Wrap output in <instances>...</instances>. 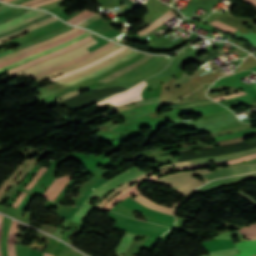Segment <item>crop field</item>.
<instances>
[{"instance_id": "crop-field-1", "label": "crop field", "mask_w": 256, "mask_h": 256, "mask_svg": "<svg viewBox=\"0 0 256 256\" xmlns=\"http://www.w3.org/2000/svg\"><path fill=\"white\" fill-rule=\"evenodd\" d=\"M254 171H256V164L242 165L231 168H216L212 172H208L205 169H201L167 175L158 180H155L154 182L173 186L175 188V190L173 191L186 197L197 187L212 179L249 173ZM195 174H197L200 177H203L204 181L200 182L193 178L192 175Z\"/></svg>"}, {"instance_id": "crop-field-2", "label": "crop field", "mask_w": 256, "mask_h": 256, "mask_svg": "<svg viewBox=\"0 0 256 256\" xmlns=\"http://www.w3.org/2000/svg\"><path fill=\"white\" fill-rule=\"evenodd\" d=\"M254 158H256V153L253 154V155L247 156V157H243V158L235 159V160H231V161L208 162V163L194 165V166L177 167V168H170V169L163 170L157 176L152 175V176L136 183L135 185L127 188L126 190L120 192L115 198H113L110 202H108L102 210H110L116 203L124 200L126 197H128V196L131 197L133 194L135 196L140 194L139 191L136 189V187L138 185H140L145 180L151 182V181H153L154 179H156L160 176L168 174L169 173L168 171H183V170L196 169V168L213 167L212 165H210L211 163H216V165H214V166L229 165V164H233V163H237V162H241V161H246V160H250V159H254Z\"/></svg>"}, {"instance_id": "crop-field-3", "label": "crop field", "mask_w": 256, "mask_h": 256, "mask_svg": "<svg viewBox=\"0 0 256 256\" xmlns=\"http://www.w3.org/2000/svg\"><path fill=\"white\" fill-rule=\"evenodd\" d=\"M96 43H98V42L93 40V41H91V42H89V43H87V44H85V45H83L81 47H78V48L72 50L69 53L60 55L58 57L52 58V59L47 60V61H44L42 63H39V64H37V65H35L33 67H30V68L24 70L22 72L10 75L8 77L13 78V77H15V76H17L19 74L25 73L30 78L33 75H35V74H37V73H39L41 71H44L46 69H49L51 67H54V66L59 65V64H62L64 62H67L69 60H72L74 58H77V57H79L81 55H84V54L88 53L87 48L92 46V45H94V44H96Z\"/></svg>"}, {"instance_id": "crop-field-4", "label": "crop field", "mask_w": 256, "mask_h": 256, "mask_svg": "<svg viewBox=\"0 0 256 256\" xmlns=\"http://www.w3.org/2000/svg\"><path fill=\"white\" fill-rule=\"evenodd\" d=\"M144 172L140 171L139 169H137L136 167L124 172L116 177H114L113 179L107 181L106 183H104L102 186H100L99 188H97L95 191H93L88 198L86 199L85 203L83 204V206H89V207H93L95 208V206L97 205H89V200L93 197H98L99 199H101L102 196H104L105 194L109 193L110 191H112L113 189L117 188L118 186H120L121 184L139 176L140 174H142ZM99 202V201H98Z\"/></svg>"}, {"instance_id": "crop-field-5", "label": "crop field", "mask_w": 256, "mask_h": 256, "mask_svg": "<svg viewBox=\"0 0 256 256\" xmlns=\"http://www.w3.org/2000/svg\"><path fill=\"white\" fill-rule=\"evenodd\" d=\"M145 83H147V82L144 80V81L138 83L137 85H135L134 87H132V88H130V89H128V90H126V91L120 93V94L114 95V96H112V97H110V98H108V99H106V100H104V101H102V102H99V103L94 104L93 107L96 108V107L102 105L103 103H105V102H107V101H109V100H112V99H115V98H117V97H119V96H122V95H124V94H127V93H129V92H131V91L137 89L138 87H140L141 85H143V84H145ZM147 85H149V84H147ZM147 85H145V86H147ZM145 86H143V87L137 89L135 92H132V93H130V94L124 96V97L117 98V99H115V100H113V101H110V102H108V103L113 104V105H115V106H119V105H124V104L131 103V102H133V101L141 100V99H142V98H141V92H142V90H143V88H144Z\"/></svg>"}, {"instance_id": "crop-field-6", "label": "crop field", "mask_w": 256, "mask_h": 256, "mask_svg": "<svg viewBox=\"0 0 256 256\" xmlns=\"http://www.w3.org/2000/svg\"><path fill=\"white\" fill-rule=\"evenodd\" d=\"M187 165H194V164L189 163V162L175 163V164H169V165L161 166V167H159L157 169H153V170H159L160 171V170H163V169H166V168H169V167L187 166ZM153 170H151V171H149V172H147V173H145V174H143V175H141V176H139V177L123 184V185H121L119 188L112 191L106 199H103L102 202L99 203V205L96 208L101 210L103 208V206L109 201V199L111 197L115 196L118 192H120L121 190H123V189H125V188H127L131 185H133L134 183L152 175Z\"/></svg>"}, {"instance_id": "crop-field-7", "label": "crop field", "mask_w": 256, "mask_h": 256, "mask_svg": "<svg viewBox=\"0 0 256 256\" xmlns=\"http://www.w3.org/2000/svg\"><path fill=\"white\" fill-rule=\"evenodd\" d=\"M84 31H85V30H82V29H81V30H79V31H77V32H75V33H73V34H71V35H69V36H67V37H65V38H63V39H60V40H58V41H55V42H53V43H51V44H49V45L36 48V49H34V50H31V51H29V52H26V53H24V54H21V55H19V56H16V57H14V58H12V59L6 61V62L0 63V68L3 67V66H5V65H8V64H10V63H12V62H15V61H17V60H20V59H22V58H24V57H27V56H29V55H31V54H34V53H36V52H39V51H42V50H45V49L54 47V46H56V45L62 44V43H64V42H66V41L72 39L73 37L82 34Z\"/></svg>"}, {"instance_id": "crop-field-8", "label": "crop field", "mask_w": 256, "mask_h": 256, "mask_svg": "<svg viewBox=\"0 0 256 256\" xmlns=\"http://www.w3.org/2000/svg\"><path fill=\"white\" fill-rule=\"evenodd\" d=\"M89 35H90V33L86 32V33L82 34L81 36H79V37H77V38H75V39H73V40H71V41H69V42H67V43H65V44H62V45H60V46H58V47L51 48V49H48V50H45V51L36 53V54H34V55H32V56H29V57H27V58H24V59L18 61V62H16V63L12 64V65H9V66H6V67H4V68H1V69H0V72H3V71L8 70V69H10V68H13V67H16V66H18V65L24 64V63H26V62H28V61L34 59V58H37V57H39V56H41V55H44V54H47V53H50V52H53V51L62 49V48L66 47V46H68V45H70V44H73V43H75V42H77V41H79V40H81V39H83V38H85V37H87V36H89Z\"/></svg>"}, {"instance_id": "crop-field-9", "label": "crop field", "mask_w": 256, "mask_h": 256, "mask_svg": "<svg viewBox=\"0 0 256 256\" xmlns=\"http://www.w3.org/2000/svg\"><path fill=\"white\" fill-rule=\"evenodd\" d=\"M119 47H121V46L115 44L112 47L108 48L107 50H105L104 52H102V53H100V54H98L96 56H93V57H91V58H89V59H87V60H85L83 62H80V63L74 64V65L68 66V67H66L64 69H61V70L57 71V72H54V73L48 74L46 76H43V77L37 79L36 81H37V83H39V82L44 81L46 79H49V78H51V77H53L55 75H58V74L65 73L67 71L76 69V68H78V67H80L82 65H85V64H87V63H89L91 61H94V60H96V59H98V58H100V57H102V56L112 52L113 50H115V49H117Z\"/></svg>"}, {"instance_id": "crop-field-10", "label": "crop field", "mask_w": 256, "mask_h": 256, "mask_svg": "<svg viewBox=\"0 0 256 256\" xmlns=\"http://www.w3.org/2000/svg\"><path fill=\"white\" fill-rule=\"evenodd\" d=\"M137 53H138V52L133 51V52L129 53L128 55L124 56L123 58H121V59H119V60H117V61H115V62H113V63H111V64H109V65H107V66H105V67H103V68H101V69H99V70L96 71V72H93V73H91V74L85 75V76H83V77H80V78H78V79H76V80H73V81L68 82V83H66V84H63V85H70V86H72V85H75V84H77V83H79V82H81V81H84V80L90 79V78H92V77H94V76H97V75H99V74H101V73L107 71L108 69L114 67L115 65H117V64H119V63H121V62H123V61L128 60L129 58L133 57V56H134L135 54H137Z\"/></svg>"}, {"instance_id": "crop-field-11", "label": "crop field", "mask_w": 256, "mask_h": 256, "mask_svg": "<svg viewBox=\"0 0 256 256\" xmlns=\"http://www.w3.org/2000/svg\"><path fill=\"white\" fill-rule=\"evenodd\" d=\"M71 176H63L56 179L50 186V188L44 193L43 197L54 201L59 192L64 188Z\"/></svg>"}, {"instance_id": "crop-field-12", "label": "crop field", "mask_w": 256, "mask_h": 256, "mask_svg": "<svg viewBox=\"0 0 256 256\" xmlns=\"http://www.w3.org/2000/svg\"><path fill=\"white\" fill-rule=\"evenodd\" d=\"M113 44H114V43L109 42V43L103 45L102 47L98 48L97 50H95V51H93V52H90L89 54H86V55H84V56H81V57H79V58H77V59H74V60L69 61V62H67V63H64V64H62V65H59V66H57V67H54V68H51V69L46 70V71H44V72H41V73H39V74L33 76V78L41 77V76H43V75L46 74V73H50V72L56 71V70H58V69H61V68H63V67H66V66H68V65L74 64V63L79 62V61H82V60H84V59H87V58H89V57H91V56H93V55H95V54H97V53H99V52H101V51L107 49L108 47H110V46L113 45Z\"/></svg>"}, {"instance_id": "crop-field-13", "label": "crop field", "mask_w": 256, "mask_h": 256, "mask_svg": "<svg viewBox=\"0 0 256 256\" xmlns=\"http://www.w3.org/2000/svg\"><path fill=\"white\" fill-rule=\"evenodd\" d=\"M125 49H126V48L121 47V48H119V49L113 51L112 53H110V54H108V55H106V56H104V57H102V58H100V59H98V60H96V61H94V62H92V63H90V64H88V65H86V66H84V67H82V68H79V69H76V70H74V71H71V72L62 74V75H60V76L53 77V78H51V79H49V80H50L51 82H53V81H57V80H60V79H63V78L72 76V75H74V74H77V73H79V72H81V71H83V70H85V69H87V68H89V67H92V66H94V65H96V64H98V63H100V62H102V61H104V60H106V59H108V58H111V57L115 56L116 54L120 53L121 51H123V50H125Z\"/></svg>"}, {"instance_id": "crop-field-14", "label": "crop field", "mask_w": 256, "mask_h": 256, "mask_svg": "<svg viewBox=\"0 0 256 256\" xmlns=\"http://www.w3.org/2000/svg\"><path fill=\"white\" fill-rule=\"evenodd\" d=\"M76 30H78V28H73V29H71V30H69V31H67V32H64V33H62V34H60V35H57V36H55V37H53V38H51V39H48V40H46V41H43V42H40V43H37V44H34V45H31V46H29V47H27V48H25V49H22V50H20V51H17V52H15V53H12V54H10V55L4 57V58H1V59H0V62H3V61H5V60H7V59H9V58H11V57H14V56H16V55H19V54H21V53H24V52H26V51H29V50L34 49V48H36V47H39V46H41V45H44V44L50 43V42H52V41H55V40H57V39L63 38V37H65V36H67V35L73 33V32L76 31Z\"/></svg>"}, {"instance_id": "crop-field-15", "label": "crop field", "mask_w": 256, "mask_h": 256, "mask_svg": "<svg viewBox=\"0 0 256 256\" xmlns=\"http://www.w3.org/2000/svg\"><path fill=\"white\" fill-rule=\"evenodd\" d=\"M131 51H132V50L127 49L126 51H124V52H122V53L116 55L115 57H113V58H111V59H108V60H106V61H104V62H102V63H100V64H98V65H96V66H94V67H92V68H89V69H87V70H85V71H83V72H81V73H79V74H77V75L74 74L75 76H72V77L63 79V80L59 81L58 83L63 84V83H66V82H68V81H71V80H73V79H75V78H78V77H80V76H83V75H85V74L91 73V72H93V71H95V70H97V69H99V68H101V67H103V66H105V65H107V64H109V63H111L112 61H114V60H116V59H118V58H120V57L126 55L127 53H129V52H131Z\"/></svg>"}, {"instance_id": "crop-field-16", "label": "crop field", "mask_w": 256, "mask_h": 256, "mask_svg": "<svg viewBox=\"0 0 256 256\" xmlns=\"http://www.w3.org/2000/svg\"><path fill=\"white\" fill-rule=\"evenodd\" d=\"M133 199L136 200L137 202L153 209V210L163 212V213H167V214H170V215H173V216H174L175 207H176L177 204H179V203L175 204L172 208L159 206V205L153 203L152 201L148 200L147 198H145L141 194L138 195L137 197L133 198Z\"/></svg>"}, {"instance_id": "crop-field-17", "label": "crop field", "mask_w": 256, "mask_h": 256, "mask_svg": "<svg viewBox=\"0 0 256 256\" xmlns=\"http://www.w3.org/2000/svg\"><path fill=\"white\" fill-rule=\"evenodd\" d=\"M36 160L37 159H34L32 162H31V160L30 161H28L27 159L26 160H24L23 161V163H24V165L23 166H19L18 167V169L8 178V180H10V181H14V179L17 177V175L23 170V168H24V170L21 172V174L19 175V177L13 182V183H15V184H17L18 182H21L22 181V179L25 177V175L32 169V167L36 164Z\"/></svg>"}, {"instance_id": "crop-field-18", "label": "crop field", "mask_w": 256, "mask_h": 256, "mask_svg": "<svg viewBox=\"0 0 256 256\" xmlns=\"http://www.w3.org/2000/svg\"><path fill=\"white\" fill-rule=\"evenodd\" d=\"M177 16L175 12H173L171 9L168 10L165 14H163L157 21H155L153 24H151L149 27L137 32L139 35L143 36L151 31H153L157 26L167 22L168 20L172 19L173 17Z\"/></svg>"}, {"instance_id": "crop-field-19", "label": "crop field", "mask_w": 256, "mask_h": 256, "mask_svg": "<svg viewBox=\"0 0 256 256\" xmlns=\"http://www.w3.org/2000/svg\"><path fill=\"white\" fill-rule=\"evenodd\" d=\"M208 251L235 247L232 240H212L202 243Z\"/></svg>"}, {"instance_id": "crop-field-20", "label": "crop field", "mask_w": 256, "mask_h": 256, "mask_svg": "<svg viewBox=\"0 0 256 256\" xmlns=\"http://www.w3.org/2000/svg\"><path fill=\"white\" fill-rule=\"evenodd\" d=\"M236 247L240 251L235 256H251L256 255V241H246L243 243L236 244Z\"/></svg>"}, {"instance_id": "crop-field-21", "label": "crop field", "mask_w": 256, "mask_h": 256, "mask_svg": "<svg viewBox=\"0 0 256 256\" xmlns=\"http://www.w3.org/2000/svg\"><path fill=\"white\" fill-rule=\"evenodd\" d=\"M55 20H58V19L55 18V17H52V18L47 19V20H45V21H42V22H40V23H36V24H34V25H32V26H30V27H28V28H26V29H24V30H22V31H19V32L14 33V34H11V35H9V36H7V37L0 38V44L3 43V42H5V41H7V40H9V39H12V38L17 37V36H19V35H22V34L28 32V31H30V30H34V29H37V28H39V27H42V26H44V25H46V24H49V23H51V22H53V21H55Z\"/></svg>"}, {"instance_id": "crop-field-22", "label": "crop field", "mask_w": 256, "mask_h": 256, "mask_svg": "<svg viewBox=\"0 0 256 256\" xmlns=\"http://www.w3.org/2000/svg\"><path fill=\"white\" fill-rule=\"evenodd\" d=\"M42 12L36 11V10H31V11L19 16L18 18L14 19L12 21H9L7 23H4V24L0 25V31L3 30V29L9 28V27H11V26L23 21V20H27L29 18H32V17H34V16H36V15L42 13Z\"/></svg>"}, {"instance_id": "crop-field-23", "label": "crop field", "mask_w": 256, "mask_h": 256, "mask_svg": "<svg viewBox=\"0 0 256 256\" xmlns=\"http://www.w3.org/2000/svg\"><path fill=\"white\" fill-rule=\"evenodd\" d=\"M17 225L18 222L12 221L11 228L9 231V237H8V255L9 256H15V236L17 234Z\"/></svg>"}, {"instance_id": "crop-field-24", "label": "crop field", "mask_w": 256, "mask_h": 256, "mask_svg": "<svg viewBox=\"0 0 256 256\" xmlns=\"http://www.w3.org/2000/svg\"><path fill=\"white\" fill-rule=\"evenodd\" d=\"M150 57H152V56L146 55V56H144L142 59H140L139 61H137L136 63H134L133 65H130V66H128V67H125V68L119 70L118 72H116V73H114V74H112V75H110V76L104 78V79L101 80V81H102V82L110 81V80H112V79H114V78L120 76L121 74H123V73H125V72H127V71H129V70H131V69H133V68H135V67H137L138 65L144 63V62H145L146 60H148Z\"/></svg>"}, {"instance_id": "crop-field-25", "label": "crop field", "mask_w": 256, "mask_h": 256, "mask_svg": "<svg viewBox=\"0 0 256 256\" xmlns=\"http://www.w3.org/2000/svg\"><path fill=\"white\" fill-rule=\"evenodd\" d=\"M133 235L134 234H132V233L126 232V234L124 235V237L122 238V240L120 241L118 246L116 247L115 254H117L118 256H121L123 254V252L129 246V244H130V242L132 240Z\"/></svg>"}, {"instance_id": "crop-field-26", "label": "crop field", "mask_w": 256, "mask_h": 256, "mask_svg": "<svg viewBox=\"0 0 256 256\" xmlns=\"http://www.w3.org/2000/svg\"><path fill=\"white\" fill-rule=\"evenodd\" d=\"M247 239H256V224L237 230Z\"/></svg>"}, {"instance_id": "crop-field-27", "label": "crop field", "mask_w": 256, "mask_h": 256, "mask_svg": "<svg viewBox=\"0 0 256 256\" xmlns=\"http://www.w3.org/2000/svg\"><path fill=\"white\" fill-rule=\"evenodd\" d=\"M104 182H106V180L100 179L99 181H97L96 183H94L92 186H90V188L88 190L85 191V193L83 194V196L78 200L76 206H82L83 202L85 201L86 197L97 187H99L100 185H102Z\"/></svg>"}, {"instance_id": "crop-field-28", "label": "crop field", "mask_w": 256, "mask_h": 256, "mask_svg": "<svg viewBox=\"0 0 256 256\" xmlns=\"http://www.w3.org/2000/svg\"><path fill=\"white\" fill-rule=\"evenodd\" d=\"M91 208H80V210L71 218V220H75L78 222H83L84 218L90 212Z\"/></svg>"}, {"instance_id": "crop-field-29", "label": "crop field", "mask_w": 256, "mask_h": 256, "mask_svg": "<svg viewBox=\"0 0 256 256\" xmlns=\"http://www.w3.org/2000/svg\"><path fill=\"white\" fill-rule=\"evenodd\" d=\"M213 103L209 100H203V101H198L194 103H188V104H182V105H175V106H168L170 109H177V108H185V107H193V106H200V105H205Z\"/></svg>"}, {"instance_id": "crop-field-30", "label": "crop field", "mask_w": 256, "mask_h": 256, "mask_svg": "<svg viewBox=\"0 0 256 256\" xmlns=\"http://www.w3.org/2000/svg\"><path fill=\"white\" fill-rule=\"evenodd\" d=\"M47 170V168H40L39 171L35 174V176L33 177L32 181L25 187V189L30 190L32 188V186L35 184V182L37 181V179Z\"/></svg>"}, {"instance_id": "crop-field-31", "label": "crop field", "mask_w": 256, "mask_h": 256, "mask_svg": "<svg viewBox=\"0 0 256 256\" xmlns=\"http://www.w3.org/2000/svg\"><path fill=\"white\" fill-rule=\"evenodd\" d=\"M48 17H51V16L45 15V16H43V17H40V18H38V19H36V20H34V21H31V22H29V23H27V24H25V25L19 27V28H16V29H14V30H12V31H10V32H7V33L3 34V35H0V37L6 36V35H8V34H11V33L15 32V31L21 30V29H23V28H25V27H27V26L33 24V23L38 22V21L41 20V19L48 18Z\"/></svg>"}, {"instance_id": "crop-field-32", "label": "crop field", "mask_w": 256, "mask_h": 256, "mask_svg": "<svg viewBox=\"0 0 256 256\" xmlns=\"http://www.w3.org/2000/svg\"><path fill=\"white\" fill-rule=\"evenodd\" d=\"M212 25H214L215 27L221 29V30H228V31H232L234 32L236 30V28H233V27H230V26H227L219 21H214L212 23H210Z\"/></svg>"}, {"instance_id": "crop-field-33", "label": "crop field", "mask_w": 256, "mask_h": 256, "mask_svg": "<svg viewBox=\"0 0 256 256\" xmlns=\"http://www.w3.org/2000/svg\"><path fill=\"white\" fill-rule=\"evenodd\" d=\"M83 89H85V88H82V89H80L78 91H73V92L67 93L64 96L54 100V102L60 103L61 101L65 100V99H67V98H69L71 96H75L76 94L81 93V90H83Z\"/></svg>"}, {"instance_id": "crop-field-34", "label": "crop field", "mask_w": 256, "mask_h": 256, "mask_svg": "<svg viewBox=\"0 0 256 256\" xmlns=\"http://www.w3.org/2000/svg\"><path fill=\"white\" fill-rule=\"evenodd\" d=\"M45 14H48V13L45 12V13H43V14H41V15H38V16H36V17H34V18L30 19V20L24 21V22H22V23H20V24H18V25H15V26H13V27H11V28H9V29H6V30L0 32V34H3V33L7 32V31H9V30H11V29H13V28H16V27H18V26H21V25H23V24H25V23H27V22L33 20V19H36V18H38V17H40V16L45 15Z\"/></svg>"}, {"instance_id": "crop-field-35", "label": "crop field", "mask_w": 256, "mask_h": 256, "mask_svg": "<svg viewBox=\"0 0 256 256\" xmlns=\"http://www.w3.org/2000/svg\"><path fill=\"white\" fill-rule=\"evenodd\" d=\"M99 17H102V16L99 15V14H97V15L91 17L90 19H88V20H86V21L80 23L79 25H80V26H86V25H88L90 22H92V21L98 19Z\"/></svg>"}, {"instance_id": "crop-field-36", "label": "crop field", "mask_w": 256, "mask_h": 256, "mask_svg": "<svg viewBox=\"0 0 256 256\" xmlns=\"http://www.w3.org/2000/svg\"><path fill=\"white\" fill-rule=\"evenodd\" d=\"M25 195H26V193L21 192L20 196L18 195L19 197H18V199L16 198L17 200H16V202L12 205V207L17 208L18 205L21 203V201L24 199Z\"/></svg>"}, {"instance_id": "crop-field-37", "label": "crop field", "mask_w": 256, "mask_h": 256, "mask_svg": "<svg viewBox=\"0 0 256 256\" xmlns=\"http://www.w3.org/2000/svg\"><path fill=\"white\" fill-rule=\"evenodd\" d=\"M156 101H159L158 97L154 98V99H147V100L137 101L136 103L139 104V105H142V104L156 102Z\"/></svg>"}, {"instance_id": "crop-field-38", "label": "crop field", "mask_w": 256, "mask_h": 256, "mask_svg": "<svg viewBox=\"0 0 256 256\" xmlns=\"http://www.w3.org/2000/svg\"><path fill=\"white\" fill-rule=\"evenodd\" d=\"M12 183H10L9 181H5L3 186L0 188V197L1 195L4 193V191L11 185Z\"/></svg>"}, {"instance_id": "crop-field-39", "label": "crop field", "mask_w": 256, "mask_h": 256, "mask_svg": "<svg viewBox=\"0 0 256 256\" xmlns=\"http://www.w3.org/2000/svg\"><path fill=\"white\" fill-rule=\"evenodd\" d=\"M79 208L73 207L64 218L70 219L78 210Z\"/></svg>"}, {"instance_id": "crop-field-40", "label": "crop field", "mask_w": 256, "mask_h": 256, "mask_svg": "<svg viewBox=\"0 0 256 256\" xmlns=\"http://www.w3.org/2000/svg\"><path fill=\"white\" fill-rule=\"evenodd\" d=\"M42 1H45V0H30V1L26 2V3L21 4V5H25V4L33 2V3L29 4V5H27V6H31V5H34L36 3L42 2Z\"/></svg>"}, {"instance_id": "crop-field-41", "label": "crop field", "mask_w": 256, "mask_h": 256, "mask_svg": "<svg viewBox=\"0 0 256 256\" xmlns=\"http://www.w3.org/2000/svg\"><path fill=\"white\" fill-rule=\"evenodd\" d=\"M52 1H55V0H49V1H46V2H42V3H39V4L34 5L33 7H37V6H40V5H43V4L52 2Z\"/></svg>"}, {"instance_id": "crop-field-42", "label": "crop field", "mask_w": 256, "mask_h": 256, "mask_svg": "<svg viewBox=\"0 0 256 256\" xmlns=\"http://www.w3.org/2000/svg\"><path fill=\"white\" fill-rule=\"evenodd\" d=\"M12 52H13L12 49H10V50H8V51H6V52L1 53V54H0V57H1V56H4V55H7V54H9V53H12Z\"/></svg>"}, {"instance_id": "crop-field-43", "label": "crop field", "mask_w": 256, "mask_h": 256, "mask_svg": "<svg viewBox=\"0 0 256 256\" xmlns=\"http://www.w3.org/2000/svg\"><path fill=\"white\" fill-rule=\"evenodd\" d=\"M243 1L248 2V3L253 4V5L256 6V0H243Z\"/></svg>"}, {"instance_id": "crop-field-44", "label": "crop field", "mask_w": 256, "mask_h": 256, "mask_svg": "<svg viewBox=\"0 0 256 256\" xmlns=\"http://www.w3.org/2000/svg\"><path fill=\"white\" fill-rule=\"evenodd\" d=\"M1 219H2V216L0 215V236H1ZM1 256V254H0Z\"/></svg>"}, {"instance_id": "crop-field-45", "label": "crop field", "mask_w": 256, "mask_h": 256, "mask_svg": "<svg viewBox=\"0 0 256 256\" xmlns=\"http://www.w3.org/2000/svg\"><path fill=\"white\" fill-rule=\"evenodd\" d=\"M19 1H21V0H15V1L11 2V4L17 3Z\"/></svg>"}, {"instance_id": "crop-field-46", "label": "crop field", "mask_w": 256, "mask_h": 256, "mask_svg": "<svg viewBox=\"0 0 256 256\" xmlns=\"http://www.w3.org/2000/svg\"><path fill=\"white\" fill-rule=\"evenodd\" d=\"M6 7H7V5H3L2 7H0V10L4 9Z\"/></svg>"}, {"instance_id": "crop-field-47", "label": "crop field", "mask_w": 256, "mask_h": 256, "mask_svg": "<svg viewBox=\"0 0 256 256\" xmlns=\"http://www.w3.org/2000/svg\"><path fill=\"white\" fill-rule=\"evenodd\" d=\"M44 256H49V254H47V253H44Z\"/></svg>"}, {"instance_id": "crop-field-48", "label": "crop field", "mask_w": 256, "mask_h": 256, "mask_svg": "<svg viewBox=\"0 0 256 256\" xmlns=\"http://www.w3.org/2000/svg\"><path fill=\"white\" fill-rule=\"evenodd\" d=\"M10 1H12V0H6V2H10Z\"/></svg>"}, {"instance_id": "crop-field-49", "label": "crop field", "mask_w": 256, "mask_h": 256, "mask_svg": "<svg viewBox=\"0 0 256 256\" xmlns=\"http://www.w3.org/2000/svg\"><path fill=\"white\" fill-rule=\"evenodd\" d=\"M1 1H4V0H1Z\"/></svg>"}, {"instance_id": "crop-field-50", "label": "crop field", "mask_w": 256, "mask_h": 256, "mask_svg": "<svg viewBox=\"0 0 256 256\" xmlns=\"http://www.w3.org/2000/svg\"><path fill=\"white\" fill-rule=\"evenodd\" d=\"M136 256V255H135Z\"/></svg>"}]
</instances>
